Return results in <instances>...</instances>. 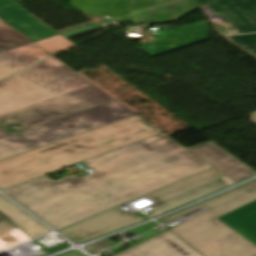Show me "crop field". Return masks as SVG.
I'll list each match as a JSON object with an SVG mask.
<instances>
[{"instance_id":"1","label":"crop field","mask_w":256,"mask_h":256,"mask_svg":"<svg viewBox=\"0 0 256 256\" xmlns=\"http://www.w3.org/2000/svg\"><path fill=\"white\" fill-rule=\"evenodd\" d=\"M81 163L94 173L45 176L3 192L59 230L212 168L163 133Z\"/></svg>"},{"instance_id":"2","label":"crop field","mask_w":256,"mask_h":256,"mask_svg":"<svg viewBox=\"0 0 256 256\" xmlns=\"http://www.w3.org/2000/svg\"><path fill=\"white\" fill-rule=\"evenodd\" d=\"M114 98L50 57L0 81V125L18 122L28 129Z\"/></svg>"},{"instance_id":"3","label":"crop field","mask_w":256,"mask_h":256,"mask_svg":"<svg viewBox=\"0 0 256 256\" xmlns=\"http://www.w3.org/2000/svg\"><path fill=\"white\" fill-rule=\"evenodd\" d=\"M161 133L135 115L0 162V189Z\"/></svg>"},{"instance_id":"4","label":"crop field","mask_w":256,"mask_h":256,"mask_svg":"<svg viewBox=\"0 0 256 256\" xmlns=\"http://www.w3.org/2000/svg\"><path fill=\"white\" fill-rule=\"evenodd\" d=\"M249 192L172 229L202 256H256V180Z\"/></svg>"},{"instance_id":"5","label":"crop field","mask_w":256,"mask_h":256,"mask_svg":"<svg viewBox=\"0 0 256 256\" xmlns=\"http://www.w3.org/2000/svg\"><path fill=\"white\" fill-rule=\"evenodd\" d=\"M135 115L114 101L50 123L14 133L39 148L88 130Z\"/></svg>"},{"instance_id":"6","label":"crop field","mask_w":256,"mask_h":256,"mask_svg":"<svg viewBox=\"0 0 256 256\" xmlns=\"http://www.w3.org/2000/svg\"><path fill=\"white\" fill-rule=\"evenodd\" d=\"M234 183L222 173L212 168L148 194L160 202L152 205L154 209L146 214L153 217Z\"/></svg>"},{"instance_id":"7","label":"crop field","mask_w":256,"mask_h":256,"mask_svg":"<svg viewBox=\"0 0 256 256\" xmlns=\"http://www.w3.org/2000/svg\"><path fill=\"white\" fill-rule=\"evenodd\" d=\"M144 220L135 212L117 207L59 230L74 242L87 241Z\"/></svg>"},{"instance_id":"8","label":"crop field","mask_w":256,"mask_h":256,"mask_svg":"<svg viewBox=\"0 0 256 256\" xmlns=\"http://www.w3.org/2000/svg\"><path fill=\"white\" fill-rule=\"evenodd\" d=\"M198 7H209L226 18L234 33L256 32V0H194Z\"/></svg>"},{"instance_id":"9","label":"crop field","mask_w":256,"mask_h":256,"mask_svg":"<svg viewBox=\"0 0 256 256\" xmlns=\"http://www.w3.org/2000/svg\"><path fill=\"white\" fill-rule=\"evenodd\" d=\"M196 8L193 0H134L132 21L157 23L175 20Z\"/></svg>"},{"instance_id":"10","label":"crop field","mask_w":256,"mask_h":256,"mask_svg":"<svg viewBox=\"0 0 256 256\" xmlns=\"http://www.w3.org/2000/svg\"><path fill=\"white\" fill-rule=\"evenodd\" d=\"M114 256H201L169 230Z\"/></svg>"},{"instance_id":"11","label":"crop field","mask_w":256,"mask_h":256,"mask_svg":"<svg viewBox=\"0 0 256 256\" xmlns=\"http://www.w3.org/2000/svg\"><path fill=\"white\" fill-rule=\"evenodd\" d=\"M13 2V0H0V7ZM0 18L33 42L59 35L18 4L1 8Z\"/></svg>"},{"instance_id":"12","label":"crop field","mask_w":256,"mask_h":256,"mask_svg":"<svg viewBox=\"0 0 256 256\" xmlns=\"http://www.w3.org/2000/svg\"><path fill=\"white\" fill-rule=\"evenodd\" d=\"M156 56L208 39L207 22L154 31Z\"/></svg>"},{"instance_id":"13","label":"crop field","mask_w":256,"mask_h":256,"mask_svg":"<svg viewBox=\"0 0 256 256\" xmlns=\"http://www.w3.org/2000/svg\"><path fill=\"white\" fill-rule=\"evenodd\" d=\"M188 149L235 182L256 173L212 141Z\"/></svg>"},{"instance_id":"14","label":"crop field","mask_w":256,"mask_h":256,"mask_svg":"<svg viewBox=\"0 0 256 256\" xmlns=\"http://www.w3.org/2000/svg\"><path fill=\"white\" fill-rule=\"evenodd\" d=\"M47 53L34 43L0 53V79L50 56Z\"/></svg>"},{"instance_id":"15","label":"crop field","mask_w":256,"mask_h":256,"mask_svg":"<svg viewBox=\"0 0 256 256\" xmlns=\"http://www.w3.org/2000/svg\"><path fill=\"white\" fill-rule=\"evenodd\" d=\"M131 0H71L80 11L129 22Z\"/></svg>"},{"instance_id":"16","label":"crop field","mask_w":256,"mask_h":256,"mask_svg":"<svg viewBox=\"0 0 256 256\" xmlns=\"http://www.w3.org/2000/svg\"><path fill=\"white\" fill-rule=\"evenodd\" d=\"M0 211L19 225L32 238L51 232L50 229L2 195H0Z\"/></svg>"},{"instance_id":"17","label":"crop field","mask_w":256,"mask_h":256,"mask_svg":"<svg viewBox=\"0 0 256 256\" xmlns=\"http://www.w3.org/2000/svg\"><path fill=\"white\" fill-rule=\"evenodd\" d=\"M247 191H248V190H246V189L240 187V188L235 189V190H233V191H231V192H228V193H226V194H223V195H221V196H218V197H216V198H213V199H211V200H209V201H206V202H204V203H201V204H199V205H197V206H194V207H192V208H190V209H187V210H185V211L179 212V213H177V214L171 215V216H169V217L163 218V219L158 220V221H159V222H169V221H171V220H174V219H176V218H178V217H180V216H182V215H184V214H186V213H188V212H190V211H192V210H194V209H196V208L202 206V205H204V206H206V207L212 209V208H214V207H216V206H218V205H220V204H222V203H224V202H226V201H228V200H231V199H233V198H235V197H237V196H239V195H241V194H243V193H245V192H247Z\"/></svg>"},{"instance_id":"18","label":"crop field","mask_w":256,"mask_h":256,"mask_svg":"<svg viewBox=\"0 0 256 256\" xmlns=\"http://www.w3.org/2000/svg\"><path fill=\"white\" fill-rule=\"evenodd\" d=\"M32 43L20 33L0 28V52Z\"/></svg>"},{"instance_id":"19","label":"crop field","mask_w":256,"mask_h":256,"mask_svg":"<svg viewBox=\"0 0 256 256\" xmlns=\"http://www.w3.org/2000/svg\"><path fill=\"white\" fill-rule=\"evenodd\" d=\"M33 149L36 148L16 138L10 142L0 144V161Z\"/></svg>"},{"instance_id":"20","label":"crop field","mask_w":256,"mask_h":256,"mask_svg":"<svg viewBox=\"0 0 256 256\" xmlns=\"http://www.w3.org/2000/svg\"><path fill=\"white\" fill-rule=\"evenodd\" d=\"M227 40L256 60V33L228 36Z\"/></svg>"},{"instance_id":"21","label":"crop field","mask_w":256,"mask_h":256,"mask_svg":"<svg viewBox=\"0 0 256 256\" xmlns=\"http://www.w3.org/2000/svg\"><path fill=\"white\" fill-rule=\"evenodd\" d=\"M35 43L39 45L41 48H43L50 55L74 44L61 35L55 36L49 39H45L39 42H35Z\"/></svg>"},{"instance_id":"22","label":"crop field","mask_w":256,"mask_h":256,"mask_svg":"<svg viewBox=\"0 0 256 256\" xmlns=\"http://www.w3.org/2000/svg\"><path fill=\"white\" fill-rule=\"evenodd\" d=\"M98 27H102V26L99 25L98 23L92 21V22H89V23H86V24H83V25H80V26H77V27L59 32V33L61 35L65 36V37H67V36L78 34V33L84 32V31L95 29V28H98Z\"/></svg>"},{"instance_id":"23","label":"crop field","mask_w":256,"mask_h":256,"mask_svg":"<svg viewBox=\"0 0 256 256\" xmlns=\"http://www.w3.org/2000/svg\"><path fill=\"white\" fill-rule=\"evenodd\" d=\"M112 245H114L112 242L105 239V240H102L100 242H97V243H94V244H91V245L87 246L86 249L89 253L93 254L95 252H98V251H100L102 249H105L107 247H110Z\"/></svg>"},{"instance_id":"24","label":"crop field","mask_w":256,"mask_h":256,"mask_svg":"<svg viewBox=\"0 0 256 256\" xmlns=\"http://www.w3.org/2000/svg\"><path fill=\"white\" fill-rule=\"evenodd\" d=\"M13 227H15V225H13L7 219H5V218L0 219V233L6 231L8 229H11Z\"/></svg>"},{"instance_id":"25","label":"crop field","mask_w":256,"mask_h":256,"mask_svg":"<svg viewBox=\"0 0 256 256\" xmlns=\"http://www.w3.org/2000/svg\"><path fill=\"white\" fill-rule=\"evenodd\" d=\"M157 225H158V224H157L156 222H153V223L147 224V225H145V226H142V227H139V228L130 230V231L139 234V233H141V232H143V231H145V230H147V229H150V228H152V227H155V226H157Z\"/></svg>"},{"instance_id":"26","label":"crop field","mask_w":256,"mask_h":256,"mask_svg":"<svg viewBox=\"0 0 256 256\" xmlns=\"http://www.w3.org/2000/svg\"><path fill=\"white\" fill-rule=\"evenodd\" d=\"M12 137L10 132L0 126V142L6 141Z\"/></svg>"},{"instance_id":"27","label":"crop field","mask_w":256,"mask_h":256,"mask_svg":"<svg viewBox=\"0 0 256 256\" xmlns=\"http://www.w3.org/2000/svg\"><path fill=\"white\" fill-rule=\"evenodd\" d=\"M155 233H157V232L154 231V230H151V231H149L147 233L142 234L143 236L141 238L135 240V241L139 242V241H141V240H143V239H145V238H147V237H149V236H151V235H153Z\"/></svg>"},{"instance_id":"28","label":"crop field","mask_w":256,"mask_h":256,"mask_svg":"<svg viewBox=\"0 0 256 256\" xmlns=\"http://www.w3.org/2000/svg\"><path fill=\"white\" fill-rule=\"evenodd\" d=\"M0 27L14 30L11 27H9L8 25H6L4 22H2L1 20H0Z\"/></svg>"},{"instance_id":"29","label":"crop field","mask_w":256,"mask_h":256,"mask_svg":"<svg viewBox=\"0 0 256 256\" xmlns=\"http://www.w3.org/2000/svg\"><path fill=\"white\" fill-rule=\"evenodd\" d=\"M251 122L256 124V112L251 114Z\"/></svg>"}]
</instances>
